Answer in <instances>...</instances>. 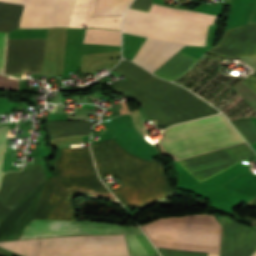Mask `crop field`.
I'll return each instance as SVG.
<instances>
[{
  "instance_id": "obj_23",
  "label": "crop field",
  "mask_w": 256,
  "mask_h": 256,
  "mask_svg": "<svg viewBox=\"0 0 256 256\" xmlns=\"http://www.w3.org/2000/svg\"><path fill=\"white\" fill-rule=\"evenodd\" d=\"M7 128H8V125L0 127V167H1L2 158L4 154ZM2 173L3 172L0 170V175H2Z\"/></svg>"
},
{
  "instance_id": "obj_25",
  "label": "crop field",
  "mask_w": 256,
  "mask_h": 256,
  "mask_svg": "<svg viewBox=\"0 0 256 256\" xmlns=\"http://www.w3.org/2000/svg\"><path fill=\"white\" fill-rule=\"evenodd\" d=\"M107 3H108V0H96L92 16H103Z\"/></svg>"
},
{
  "instance_id": "obj_26",
  "label": "crop field",
  "mask_w": 256,
  "mask_h": 256,
  "mask_svg": "<svg viewBox=\"0 0 256 256\" xmlns=\"http://www.w3.org/2000/svg\"><path fill=\"white\" fill-rule=\"evenodd\" d=\"M152 0H134L130 7L149 11Z\"/></svg>"
},
{
  "instance_id": "obj_13",
  "label": "crop field",
  "mask_w": 256,
  "mask_h": 256,
  "mask_svg": "<svg viewBox=\"0 0 256 256\" xmlns=\"http://www.w3.org/2000/svg\"><path fill=\"white\" fill-rule=\"evenodd\" d=\"M255 250L256 230L223 217L221 256H250Z\"/></svg>"
},
{
  "instance_id": "obj_5",
  "label": "crop field",
  "mask_w": 256,
  "mask_h": 256,
  "mask_svg": "<svg viewBox=\"0 0 256 256\" xmlns=\"http://www.w3.org/2000/svg\"><path fill=\"white\" fill-rule=\"evenodd\" d=\"M44 182L22 200L0 223V241L19 239L33 218ZM142 233L139 227L116 226L97 222L32 220L21 239L82 235Z\"/></svg>"
},
{
  "instance_id": "obj_1",
  "label": "crop field",
  "mask_w": 256,
  "mask_h": 256,
  "mask_svg": "<svg viewBox=\"0 0 256 256\" xmlns=\"http://www.w3.org/2000/svg\"><path fill=\"white\" fill-rule=\"evenodd\" d=\"M112 70L131 79L127 83L118 80L113 91L129 95L141 105L139 109L129 113L133 117L136 129L145 135L141 125L145 121H152L157 126L166 124L169 127L218 113L182 87L160 80L127 60H122Z\"/></svg>"
},
{
  "instance_id": "obj_3",
  "label": "crop field",
  "mask_w": 256,
  "mask_h": 256,
  "mask_svg": "<svg viewBox=\"0 0 256 256\" xmlns=\"http://www.w3.org/2000/svg\"><path fill=\"white\" fill-rule=\"evenodd\" d=\"M57 176L47 179L33 219L74 220L71 196L93 191L115 197L100 182L88 148L61 149Z\"/></svg>"
},
{
  "instance_id": "obj_18",
  "label": "crop field",
  "mask_w": 256,
  "mask_h": 256,
  "mask_svg": "<svg viewBox=\"0 0 256 256\" xmlns=\"http://www.w3.org/2000/svg\"><path fill=\"white\" fill-rule=\"evenodd\" d=\"M152 7L153 8H158V9H163V10H168V11H173V12H178V13H183V14H187V15H192V16L212 19V20H214L215 17H216L214 15L190 12V11L170 8V7H166V6H159V5H154V4L152 5ZM153 8H151V10H150V12H152V13L163 14V15H167V16L182 18V19L196 21V22H201V23L210 24V25H213V22H214L212 20H207V19L187 16V15H182V14H178V13H173V12H168V11H163V10H158V9H153Z\"/></svg>"
},
{
  "instance_id": "obj_19",
  "label": "crop field",
  "mask_w": 256,
  "mask_h": 256,
  "mask_svg": "<svg viewBox=\"0 0 256 256\" xmlns=\"http://www.w3.org/2000/svg\"><path fill=\"white\" fill-rule=\"evenodd\" d=\"M131 256H148L157 254L144 234L125 235Z\"/></svg>"
},
{
  "instance_id": "obj_17",
  "label": "crop field",
  "mask_w": 256,
  "mask_h": 256,
  "mask_svg": "<svg viewBox=\"0 0 256 256\" xmlns=\"http://www.w3.org/2000/svg\"><path fill=\"white\" fill-rule=\"evenodd\" d=\"M83 43L120 45V31L85 29Z\"/></svg>"
},
{
  "instance_id": "obj_4",
  "label": "crop field",
  "mask_w": 256,
  "mask_h": 256,
  "mask_svg": "<svg viewBox=\"0 0 256 256\" xmlns=\"http://www.w3.org/2000/svg\"><path fill=\"white\" fill-rule=\"evenodd\" d=\"M140 227L155 247L220 254L222 228L214 215L162 218ZM160 248L162 256H207Z\"/></svg>"
},
{
  "instance_id": "obj_7",
  "label": "crop field",
  "mask_w": 256,
  "mask_h": 256,
  "mask_svg": "<svg viewBox=\"0 0 256 256\" xmlns=\"http://www.w3.org/2000/svg\"><path fill=\"white\" fill-rule=\"evenodd\" d=\"M0 246L21 256H129L123 235L7 241Z\"/></svg>"
},
{
  "instance_id": "obj_6",
  "label": "crop field",
  "mask_w": 256,
  "mask_h": 256,
  "mask_svg": "<svg viewBox=\"0 0 256 256\" xmlns=\"http://www.w3.org/2000/svg\"><path fill=\"white\" fill-rule=\"evenodd\" d=\"M162 136L156 143L174 161L244 143L221 114L174 125Z\"/></svg>"
},
{
  "instance_id": "obj_15",
  "label": "crop field",
  "mask_w": 256,
  "mask_h": 256,
  "mask_svg": "<svg viewBox=\"0 0 256 256\" xmlns=\"http://www.w3.org/2000/svg\"><path fill=\"white\" fill-rule=\"evenodd\" d=\"M95 123L66 121L46 122L45 129L48 132L50 139L53 140L68 136L89 135L90 128Z\"/></svg>"
},
{
  "instance_id": "obj_11",
  "label": "crop field",
  "mask_w": 256,
  "mask_h": 256,
  "mask_svg": "<svg viewBox=\"0 0 256 256\" xmlns=\"http://www.w3.org/2000/svg\"><path fill=\"white\" fill-rule=\"evenodd\" d=\"M45 39H8L5 73H38L43 62Z\"/></svg>"
},
{
  "instance_id": "obj_20",
  "label": "crop field",
  "mask_w": 256,
  "mask_h": 256,
  "mask_svg": "<svg viewBox=\"0 0 256 256\" xmlns=\"http://www.w3.org/2000/svg\"><path fill=\"white\" fill-rule=\"evenodd\" d=\"M223 186L254 197L256 196V174L239 175L225 183Z\"/></svg>"
},
{
  "instance_id": "obj_8",
  "label": "crop field",
  "mask_w": 256,
  "mask_h": 256,
  "mask_svg": "<svg viewBox=\"0 0 256 256\" xmlns=\"http://www.w3.org/2000/svg\"><path fill=\"white\" fill-rule=\"evenodd\" d=\"M207 25L127 9L122 32L168 42L204 46Z\"/></svg>"
},
{
  "instance_id": "obj_28",
  "label": "crop field",
  "mask_w": 256,
  "mask_h": 256,
  "mask_svg": "<svg viewBox=\"0 0 256 256\" xmlns=\"http://www.w3.org/2000/svg\"><path fill=\"white\" fill-rule=\"evenodd\" d=\"M13 209L12 206L0 201V222L6 217V215Z\"/></svg>"
},
{
  "instance_id": "obj_12",
  "label": "crop field",
  "mask_w": 256,
  "mask_h": 256,
  "mask_svg": "<svg viewBox=\"0 0 256 256\" xmlns=\"http://www.w3.org/2000/svg\"><path fill=\"white\" fill-rule=\"evenodd\" d=\"M45 180L43 167L24 166L20 172L5 173L0 186V200L15 207Z\"/></svg>"
},
{
  "instance_id": "obj_27",
  "label": "crop field",
  "mask_w": 256,
  "mask_h": 256,
  "mask_svg": "<svg viewBox=\"0 0 256 256\" xmlns=\"http://www.w3.org/2000/svg\"><path fill=\"white\" fill-rule=\"evenodd\" d=\"M5 43H6V33L0 32V73H2V68H3Z\"/></svg>"
},
{
  "instance_id": "obj_10",
  "label": "crop field",
  "mask_w": 256,
  "mask_h": 256,
  "mask_svg": "<svg viewBox=\"0 0 256 256\" xmlns=\"http://www.w3.org/2000/svg\"><path fill=\"white\" fill-rule=\"evenodd\" d=\"M207 52L227 57L256 56V24L228 30L220 44ZM248 77L256 78V72ZM242 82L256 95V80L246 78Z\"/></svg>"
},
{
  "instance_id": "obj_29",
  "label": "crop field",
  "mask_w": 256,
  "mask_h": 256,
  "mask_svg": "<svg viewBox=\"0 0 256 256\" xmlns=\"http://www.w3.org/2000/svg\"><path fill=\"white\" fill-rule=\"evenodd\" d=\"M247 203L256 206V197L251 199L250 201H248ZM254 225H256V223H254Z\"/></svg>"
},
{
  "instance_id": "obj_24",
  "label": "crop field",
  "mask_w": 256,
  "mask_h": 256,
  "mask_svg": "<svg viewBox=\"0 0 256 256\" xmlns=\"http://www.w3.org/2000/svg\"><path fill=\"white\" fill-rule=\"evenodd\" d=\"M0 87L19 89V80L0 76Z\"/></svg>"
},
{
  "instance_id": "obj_30",
  "label": "crop field",
  "mask_w": 256,
  "mask_h": 256,
  "mask_svg": "<svg viewBox=\"0 0 256 256\" xmlns=\"http://www.w3.org/2000/svg\"><path fill=\"white\" fill-rule=\"evenodd\" d=\"M253 256H256V253Z\"/></svg>"
},
{
  "instance_id": "obj_9",
  "label": "crop field",
  "mask_w": 256,
  "mask_h": 256,
  "mask_svg": "<svg viewBox=\"0 0 256 256\" xmlns=\"http://www.w3.org/2000/svg\"><path fill=\"white\" fill-rule=\"evenodd\" d=\"M24 5L19 28L68 27L74 0H0Z\"/></svg>"
},
{
  "instance_id": "obj_16",
  "label": "crop field",
  "mask_w": 256,
  "mask_h": 256,
  "mask_svg": "<svg viewBox=\"0 0 256 256\" xmlns=\"http://www.w3.org/2000/svg\"><path fill=\"white\" fill-rule=\"evenodd\" d=\"M22 7L20 5L0 2L1 32H10L18 28Z\"/></svg>"
},
{
  "instance_id": "obj_14",
  "label": "crop field",
  "mask_w": 256,
  "mask_h": 256,
  "mask_svg": "<svg viewBox=\"0 0 256 256\" xmlns=\"http://www.w3.org/2000/svg\"><path fill=\"white\" fill-rule=\"evenodd\" d=\"M183 47V45L146 38L132 61L153 73Z\"/></svg>"
},
{
  "instance_id": "obj_2",
  "label": "crop field",
  "mask_w": 256,
  "mask_h": 256,
  "mask_svg": "<svg viewBox=\"0 0 256 256\" xmlns=\"http://www.w3.org/2000/svg\"><path fill=\"white\" fill-rule=\"evenodd\" d=\"M91 149L99 175L111 172L123 185L112 191L122 204L148 205L173 196L161 163L131 155L112 138L92 144Z\"/></svg>"
},
{
  "instance_id": "obj_22",
  "label": "crop field",
  "mask_w": 256,
  "mask_h": 256,
  "mask_svg": "<svg viewBox=\"0 0 256 256\" xmlns=\"http://www.w3.org/2000/svg\"><path fill=\"white\" fill-rule=\"evenodd\" d=\"M132 0H109L104 16L122 15Z\"/></svg>"
},
{
  "instance_id": "obj_21",
  "label": "crop field",
  "mask_w": 256,
  "mask_h": 256,
  "mask_svg": "<svg viewBox=\"0 0 256 256\" xmlns=\"http://www.w3.org/2000/svg\"><path fill=\"white\" fill-rule=\"evenodd\" d=\"M249 144L256 141V124L252 119L231 121Z\"/></svg>"
}]
</instances>
